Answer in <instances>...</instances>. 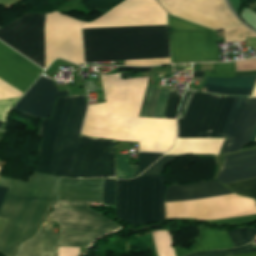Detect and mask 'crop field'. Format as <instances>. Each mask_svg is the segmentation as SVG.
<instances>
[{"mask_svg": "<svg viewBox=\"0 0 256 256\" xmlns=\"http://www.w3.org/2000/svg\"><path fill=\"white\" fill-rule=\"evenodd\" d=\"M167 25L156 0H127L82 28ZM85 63L169 58L167 26L82 29ZM169 59L125 61V65H164Z\"/></svg>", "mask_w": 256, "mask_h": 256, "instance_id": "1", "label": "crop field"}, {"mask_svg": "<svg viewBox=\"0 0 256 256\" xmlns=\"http://www.w3.org/2000/svg\"><path fill=\"white\" fill-rule=\"evenodd\" d=\"M102 191L103 179L60 178L57 185L58 200L102 203ZM66 201H57L46 219L58 222L59 242L58 235L52 234L53 222H43L36 234L20 245L15 256H57V242L58 247H80V255H83L94 240L120 227L88 209L90 203Z\"/></svg>", "mask_w": 256, "mask_h": 256, "instance_id": "2", "label": "crop field"}, {"mask_svg": "<svg viewBox=\"0 0 256 256\" xmlns=\"http://www.w3.org/2000/svg\"><path fill=\"white\" fill-rule=\"evenodd\" d=\"M45 15L26 13L0 29V40L45 68L44 52ZM81 22L56 12L46 15L45 51L46 68L55 58L83 64Z\"/></svg>", "mask_w": 256, "mask_h": 256, "instance_id": "3", "label": "crop field"}, {"mask_svg": "<svg viewBox=\"0 0 256 256\" xmlns=\"http://www.w3.org/2000/svg\"><path fill=\"white\" fill-rule=\"evenodd\" d=\"M56 179L35 173L27 183L0 177V186L9 187L0 207V217L9 218L0 237L1 254L13 256L18 244L42 223L57 198Z\"/></svg>", "mask_w": 256, "mask_h": 256, "instance_id": "4", "label": "crop field"}, {"mask_svg": "<svg viewBox=\"0 0 256 256\" xmlns=\"http://www.w3.org/2000/svg\"><path fill=\"white\" fill-rule=\"evenodd\" d=\"M85 109L84 96L57 99L53 117L39 126L43 140L35 171L68 178Z\"/></svg>", "mask_w": 256, "mask_h": 256, "instance_id": "5", "label": "crop field"}, {"mask_svg": "<svg viewBox=\"0 0 256 256\" xmlns=\"http://www.w3.org/2000/svg\"><path fill=\"white\" fill-rule=\"evenodd\" d=\"M82 134L89 137L139 141L140 151L166 152L175 139V120L106 116L105 103L88 107Z\"/></svg>", "mask_w": 256, "mask_h": 256, "instance_id": "6", "label": "crop field"}, {"mask_svg": "<svg viewBox=\"0 0 256 256\" xmlns=\"http://www.w3.org/2000/svg\"><path fill=\"white\" fill-rule=\"evenodd\" d=\"M165 191L164 179L158 175L118 180L116 217L132 225L163 221Z\"/></svg>", "mask_w": 256, "mask_h": 256, "instance_id": "7", "label": "crop field"}, {"mask_svg": "<svg viewBox=\"0 0 256 256\" xmlns=\"http://www.w3.org/2000/svg\"><path fill=\"white\" fill-rule=\"evenodd\" d=\"M255 126L256 98L226 97L210 137H225L219 153H233L249 143ZM255 136L256 128L250 143Z\"/></svg>", "mask_w": 256, "mask_h": 256, "instance_id": "8", "label": "crop field"}, {"mask_svg": "<svg viewBox=\"0 0 256 256\" xmlns=\"http://www.w3.org/2000/svg\"><path fill=\"white\" fill-rule=\"evenodd\" d=\"M168 20L172 63L218 61L216 32L169 15Z\"/></svg>", "mask_w": 256, "mask_h": 256, "instance_id": "9", "label": "crop field"}, {"mask_svg": "<svg viewBox=\"0 0 256 256\" xmlns=\"http://www.w3.org/2000/svg\"><path fill=\"white\" fill-rule=\"evenodd\" d=\"M148 68L119 67L117 72L149 71ZM107 115L138 117L148 77L119 80V74L101 76Z\"/></svg>", "mask_w": 256, "mask_h": 256, "instance_id": "10", "label": "crop field"}, {"mask_svg": "<svg viewBox=\"0 0 256 256\" xmlns=\"http://www.w3.org/2000/svg\"><path fill=\"white\" fill-rule=\"evenodd\" d=\"M173 16L215 31L241 25L225 0H157Z\"/></svg>", "mask_w": 256, "mask_h": 256, "instance_id": "11", "label": "crop field"}, {"mask_svg": "<svg viewBox=\"0 0 256 256\" xmlns=\"http://www.w3.org/2000/svg\"><path fill=\"white\" fill-rule=\"evenodd\" d=\"M69 178H115L113 141L80 137Z\"/></svg>", "mask_w": 256, "mask_h": 256, "instance_id": "12", "label": "crop field"}, {"mask_svg": "<svg viewBox=\"0 0 256 256\" xmlns=\"http://www.w3.org/2000/svg\"><path fill=\"white\" fill-rule=\"evenodd\" d=\"M224 98L195 91L184 120L178 119V137H209Z\"/></svg>", "mask_w": 256, "mask_h": 256, "instance_id": "13", "label": "crop field"}, {"mask_svg": "<svg viewBox=\"0 0 256 256\" xmlns=\"http://www.w3.org/2000/svg\"><path fill=\"white\" fill-rule=\"evenodd\" d=\"M256 177V150L224 157L217 180L226 184ZM240 195L256 198V178L226 184Z\"/></svg>", "mask_w": 256, "mask_h": 256, "instance_id": "14", "label": "crop field"}, {"mask_svg": "<svg viewBox=\"0 0 256 256\" xmlns=\"http://www.w3.org/2000/svg\"><path fill=\"white\" fill-rule=\"evenodd\" d=\"M43 70L0 42V80L24 93Z\"/></svg>", "mask_w": 256, "mask_h": 256, "instance_id": "15", "label": "crop field"}, {"mask_svg": "<svg viewBox=\"0 0 256 256\" xmlns=\"http://www.w3.org/2000/svg\"><path fill=\"white\" fill-rule=\"evenodd\" d=\"M65 95L67 91L59 93L51 80L41 76L12 110L38 119L50 117L55 98Z\"/></svg>", "mask_w": 256, "mask_h": 256, "instance_id": "16", "label": "crop field"}, {"mask_svg": "<svg viewBox=\"0 0 256 256\" xmlns=\"http://www.w3.org/2000/svg\"><path fill=\"white\" fill-rule=\"evenodd\" d=\"M199 231L200 238L191 249L182 250L174 248L176 256H183L194 251L218 249V240L219 249L240 246L252 241L253 236L256 234V230H252L250 228H239L232 231H218L217 240V231L200 228Z\"/></svg>", "mask_w": 256, "mask_h": 256, "instance_id": "17", "label": "crop field"}, {"mask_svg": "<svg viewBox=\"0 0 256 256\" xmlns=\"http://www.w3.org/2000/svg\"><path fill=\"white\" fill-rule=\"evenodd\" d=\"M207 77H235V73L206 72ZM256 76L241 78H206L205 91L224 95H250ZM204 91V90H203Z\"/></svg>", "mask_w": 256, "mask_h": 256, "instance_id": "18", "label": "crop field"}, {"mask_svg": "<svg viewBox=\"0 0 256 256\" xmlns=\"http://www.w3.org/2000/svg\"><path fill=\"white\" fill-rule=\"evenodd\" d=\"M231 194L234 193L214 181L187 185H172L167 189L165 202Z\"/></svg>", "mask_w": 256, "mask_h": 256, "instance_id": "19", "label": "crop field"}, {"mask_svg": "<svg viewBox=\"0 0 256 256\" xmlns=\"http://www.w3.org/2000/svg\"><path fill=\"white\" fill-rule=\"evenodd\" d=\"M152 88H146L139 117H144ZM160 89H152L145 117H153ZM170 90L161 89L154 118H162Z\"/></svg>", "mask_w": 256, "mask_h": 256, "instance_id": "20", "label": "crop field"}, {"mask_svg": "<svg viewBox=\"0 0 256 256\" xmlns=\"http://www.w3.org/2000/svg\"><path fill=\"white\" fill-rule=\"evenodd\" d=\"M152 235L158 256H174L169 231H153Z\"/></svg>", "mask_w": 256, "mask_h": 256, "instance_id": "21", "label": "crop field"}, {"mask_svg": "<svg viewBox=\"0 0 256 256\" xmlns=\"http://www.w3.org/2000/svg\"><path fill=\"white\" fill-rule=\"evenodd\" d=\"M243 25L225 29V42L245 41V38L256 37L254 32Z\"/></svg>", "mask_w": 256, "mask_h": 256, "instance_id": "22", "label": "crop field"}, {"mask_svg": "<svg viewBox=\"0 0 256 256\" xmlns=\"http://www.w3.org/2000/svg\"><path fill=\"white\" fill-rule=\"evenodd\" d=\"M251 251H256V250L251 248V247L244 246V247L231 249V250H224V251L199 252V253H194V254H190V255H187V256H230V255H235V254H240V253H245V252H251ZM235 256H256V252L240 254V255H235Z\"/></svg>", "mask_w": 256, "mask_h": 256, "instance_id": "23", "label": "crop field"}, {"mask_svg": "<svg viewBox=\"0 0 256 256\" xmlns=\"http://www.w3.org/2000/svg\"><path fill=\"white\" fill-rule=\"evenodd\" d=\"M117 159V178H129V157L117 156ZM137 175V166H130V178Z\"/></svg>", "mask_w": 256, "mask_h": 256, "instance_id": "24", "label": "crop field"}, {"mask_svg": "<svg viewBox=\"0 0 256 256\" xmlns=\"http://www.w3.org/2000/svg\"><path fill=\"white\" fill-rule=\"evenodd\" d=\"M181 96L172 90L170 91L169 99L165 109L164 117L169 119H175V114L180 101Z\"/></svg>", "mask_w": 256, "mask_h": 256, "instance_id": "25", "label": "crop field"}, {"mask_svg": "<svg viewBox=\"0 0 256 256\" xmlns=\"http://www.w3.org/2000/svg\"><path fill=\"white\" fill-rule=\"evenodd\" d=\"M116 180L104 179L103 204L114 206Z\"/></svg>", "mask_w": 256, "mask_h": 256, "instance_id": "26", "label": "crop field"}, {"mask_svg": "<svg viewBox=\"0 0 256 256\" xmlns=\"http://www.w3.org/2000/svg\"><path fill=\"white\" fill-rule=\"evenodd\" d=\"M162 154L157 153H138V170L141 174L147 167H149Z\"/></svg>", "mask_w": 256, "mask_h": 256, "instance_id": "27", "label": "crop field"}, {"mask_svg": "<svg viewBox=\"0 0 256 256\" xmlns=\"http://www.w3.org/2000/svg\"><path fill=\"white\" fill-rule=\"evenodd\" d=\"M176 157L177 156H164L158 162H156L152 167H150L147 171H145L143 174H150V173L161 174L163 172V167L169 164L174 159H176Z\"/></svg>", "mask_w": 256, "mask_h": 256, "instance_id": "28", "label": "crop field"}, {"mask_svg": "<svg viewBox=\"0 0 256 256\" xmlns=\"http://www.w3.org/2000/svg\"><path fill=\"white\" fill-rule=\"evenodd\" d=\"M236 72L256 70V59L235 62Z\"/></svg>", "mask_w": 256, "mask_h": 256, "instance_id": "29", "label": "crop field"}, {"mask_svg": "<svg viewBox=\"0 0 256 256\" xmlns=\"http://www.w3.org/2000/svg\"><path fill=\"white\" fill-rule=\"evenodd\" d=\"M213 70L215 71H229V72H234V62L230 63H214Z\"/></svg>", "mask_w": 256, "mask_h": 256, "instance_id": "30", "label": "crop field"}, {"mask_svg": "<svg viewBox=\"0 0 256 256\" xmlns=\"http://www.w3.org/2000/svg\"><path fill=\"white\" fill-rule=\"evenodd\" d=\"M58 256H79V248H58Z\"/></svg>", "mask_w": 256, "mask_h": 256, "instance_id": "31", "label": "crop field"}, {"mask_svg": "<svg viewBox=\"0 0 256 256\" xmlns=\"http://www.w3.org/2000/svg\"><path fill=\"white\" fill-rule=\"evenodd\" d=\"M247 47H253L256 50V38L254 39H246Z\"/></svg>", "mask_w": 256, "mask_h": 256, "instance_id": "32", "label": "crop field"}, {"mask_svg": "<svg viewBox=\"0 0 256 256\" xmlns=\"http://www.w3.org/2000/svg\"><path fill=\"white\" fill-rule=\"evenodd\" d=\"M230 3L233 7V9L236 10V12H238L239 6H240V0H230Z\"/></svg>", "mask_w": 256, "mask_h": 256, "instance_id": "33", "label": "crop field"}, {"mask_svg": "<svg viewBox=\"0 0 256 256\" xmlns=\"http://www.w3.org/2000/svg\"><path fill=\"white\" fill-rule=\"evenodd\" d=\"M205 71H193L192 77L194 78H203Z\"/></svg>", "mask_w": 256, "mask_h": 256, "instance_id": "34", "label": "crop field"}, {"mask_svg": "<svg viewBox=\"0 0 256 256\" xmlns=\"http://www.w3.org/2000/svg\"><path fill=\"white\" fill-rule=\"evenodd\" d=\"M7 189L8 188L0 187V205L2 203V200H3L4 196H5V193H6Z\"/></svg>", "mask_w": 256, "mask_h": 256, "instance_id": "35", "label": "crop field"}, {"mask_svg": "<svg viewBox=\"0 0 256 256\" xmlns=\"http://www.w3.org/2000/svg\"><path fill=\"white\" fill-rule=\"evenodd\" d=\"M187 91H188V89H187ZM187 91H186V93H185V95H184V97H183V100H182V102H181V104H180V106H179L178 112H181L182 109H183V106H184L185 101H186V99H187V96H188V94H189V93H187Z\"/></svg>", "mask_w": 256, "mask_h": 256, "instance_id": "36", "label": "crop field"}, {"mask_svg": "<svg viewBox=\"0 0 256 256\" xmlns=\"http://www.w3.org/2000/svg\"><path fill=\"white\" fill-rule=\"evenodd\" d=\"M2 122H0V125H1Z\"/></svg>", "mask_w": 256, "mask_h": 256, "instance_id": "37", "label": "crop field"}, {"mask_svg": "<svg viewBox=\"0 0 256 256\" xmlns=\"http://www.w3.org/2000/svg\"><path fill=\"white\" fill-rule=\"evenodd\" d=\"M0 170H1V168H0Z\"/></svg>", "mask_w": 256, "mask_h": 256, "instance_id": "38", "label": "crop field"}]
</instances>
